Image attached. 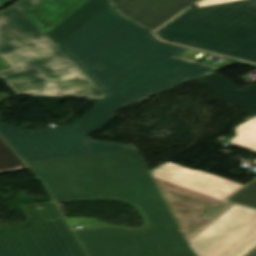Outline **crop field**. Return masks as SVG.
Listing matches in <instances>:
<instances>
[{
	"mask_svg": "<svg viewBox=\"0 0 256 256\" xmlns=\"http://www.w3.org/2000/svg\"><path fill=\"white\" fill-rule=\"evenodd\" d=\"M127 18L153 31L198 0H111ZM117 9V10H118Z\"/></svg>",
	"mask_w": 256,
	"mask_h": 256,
	"instance_id": "obj_8",
	"label": "crop field"
},
{
	"mask_svg": "<svg viewBox=\"0 0 256 256\" xmlns=\"http://www.w3.org/2000/svg\"><path fill=\"white\" fill-rule=\"evenodd\" d=\"M10 0H0V6L6 4L7 2H9Z\"/></svg>",
	"mask_w": 256,
	"mask_h": 256,
	"instance_id": "obj_19",
	"label": "crop field"
},
{
	"mask_svg": "<svg viewBox=\"0 0 256 256\" xmlns=\"http://www.w3.org/2000/svg\"><path fill=\"white\" fill-rule=\"evenodd\" d=\"M107 95L72 125L20 130L0 121V135L24 161L135 149L130 145L88 140V135L112 120L118 109L136 103L115 89Z\"/></svg>",
	"mask_w": 256,
	"mask_h": 256,
	"instance_id": "obj_6",
	"label": "crop field"
},
{
	"mask_svg": "<svg viewBox=\"0 0 256 256\" xmlns=\"http://www.w3.org/2000/svg\"><path fill=\"white\" fill-rule=\"evenodd\" d=\"M229 1H235V0H203L202 2L196 4V6L199 7V6H205V5L217 4V3H223V2H229Z\"/></svg>",
	"mask_w": 256,
	"mask_h": 256,
	"instance_id": "obj_15",
	"label": "crop field"
},
{
	"mask_svg": "<svg viewBox=\"0 0 256 256\" xmlns=\"http://www.w3.org/2000/svg\"><path fill=\"white\" fill-rule=\"evenodd\" d=\"M12 67L0 57V71L11 69Z\"/></svg>",
	"mask_w": 256,
	"mask_h": 256,
	"instance_id": "obj_17",
	"label": "crop field"
},
{
	"mask_svg": "<svg viewBox=\"0 0 256 256\" xmlns=\"http://www.w3.org/2000/svg\"><path fill=\"white\" fill-rule=\"evenodd\" d=\"M245 256H256V247Z\"/></svg>",
	"mask_w": 256,
	"mask_h": 256,
	"instance_id": "obj_18",
	"label": "crop field"
},
{
	"mask_svg": "<svg viewBox=\"0 0 256 256\" xmlns=\"http://www.w3.org/2000/svg\"><path fill=\"white\" fill-rule=\"evenodd\" d=\"M242 89L256 98V88L254 86L250 85Z\"/></svg>",
	"mask_w": 256,
	"mask_h": 256,
	"instance_id": "obj_16",
	"label": "crop field"
},
{
	"mask_svg": "<svg viewBox=\"0 0 256 256\" xmlns=\"http://www.w3.org/2000/svg\"><path fill=\"white\" fill-rule=\"evenodd\" d=\"M27 168L0 138V173Z\"/></svg>",
	"mask_w": 256,
	"mask_h": 256,
	"instance_id": "obj_13",
	"label": "crop field"
},
{
	"mask_svg": "<svg viewBox=\"0 0 256 256\" xmlns=\"http://www.w3.org/2000/svg\"><path fill=\"white\" fill-rule=\"evenodd\" d=\"M57 202L110 199L134 205L141 228L66 218L89 256H196L137 150L26 162Z\"/></svg>",
	"mask_w": 256,
	"mask_h": 256,
	"instance_id": "obj_1",
	"label": "crop field"
},
{
	"mask_svg": "<svg viewBox=\"0 0 256 256\" xmlns=\"http://www.w3.org/2000/svg\"><path fill=\"white\" fill-rule=\"evenodd\" d=\"M228 200L256 207V179L231 196Z\"/></svg>",
	"mask_w": 256,
	"mask_h": 256,
	"instance_id": "obj_14",
	"label": "crop field"
},
{
	"mask_svg": "<svg viewBox=\"0 0 256 256\" xmlns=\"http://www.w3.org/2000/svg\"><path fill=\"white\" fill-rule=\"evenodd\" d=\"M235 131L229 143L256 151V117L235 127Z\"/></svg>",
	"mask_w": 256,
	"mask_h": 256,
	"instance_id": "obj_12",
	"label": "crop field"
},
{
	"mask_svg": "<svg viewBox=\"0 0 256 256\" xmlns=\"http://www.w3.org/2000/svg\"><path fill=\"white\" fill-rule=\"evenodd\" d=\"M21 208L25 222L0 230V256H86L53 201Z\"/></svg>",
	"mask_w": 256,
	"mask_h": 256,
	"instance_id": "obj_7",
	"label": "crop field"
},
{
	"mask_svg": "<svg viewBox=\"0 0 256 256\" xmlns=\"http://www.w3.org/2000/svg\"><path fill=\"white\" fill-rule=\"evenodd\" d=\"M256 162V161H255Z\"/></svg>",
	"mask_w": 256,
	"mask_h": 256,
	"instance_id": "obj_22",
	"label": "crop field"
},
{
	"mask_svg": "<svg viewBox=\"0 0 256 256\" xmlns=\"http://www.w3.org/2000/svg\"><path fill=\"white\" fill-rule=\"evenodd\" d=\"M155 33L164 40L256 62V0L190 9Z\"/></svg>",
	"mask_w": 256,
	"mask_h": 256,
	"instance_id": "obj_5",
	"label": "crop field"
},
{
	"mask_svg": "<svg viewBox=\"0 0 256 256\" xmlns=\"http://www.w3.org/2000/svg\"><path fill=\"white\" fill-rule=\"evenodd\" d=\"M86 0H44L24 12L45 34Z\"/></svg>",
	"mask_w": 256,
	"mask_h": 256,
	"instance_id": "obj_9",
	"label": "crop field"
},
{
	"mask_svg": "<svg viewBox=\"0 0 256 256\" xmlns=\"http://www.w3.org/2000/svg\"><path fill=\"white\" fill-rule=\"evenodd\" d=\"M108 3V0H88L46 35L58 46L82 27Z\"/></svg>",
	"mask_w": 256,
	"mask_h": 256,
	"instance_id": "obj_10",
	"label": "crop field"
},
{
	"mask_svg": "<svg viewBox=\"0 0 256 256\" xmlns=\"http://www.w3.org/2000/svg\"><path fill=\"white\" fill-rule=\"evenodd\" d=\"M196 80L251 116H256V99L218 76L215 72ZM253 85L256 87V84Z\"/></svg>",
	"mask_w": 256,
	"mask_h": 256,
	"instance_id": "obj_11",
	"label": "crop field"
},
{
	"mask_svg": "<svg viewBox=\"0 0 256 256\" xmlns=\"http://www.w3.org/2000/svg\"><path fill=\"white\" fill-rule=\"evenodd\" d=\"M1 79V78H0Z\"/></svg>",
	"mask_w": 256,
	"mask_h": 256,
	"instance_id": "obj_21",
	"label": "crop field"
},
{
	"mask_svg": "<svg viewBox=\"0 0 256 256\" xmlns=\"http://www.w3.org/2000/svg\"><path fill=\"white\" fill-rule=\"evenodd\" d=\"M150 173L197 256H244L256 246V208L225 200L243 185L169 162Z\"/></svg>",
	"mask_w": 256,
	"mask_h": 256,
	"instance_id": "obj_3",
	"label": "crop field"
},
{
	"mask_svg": "<svg viewBox=\"0 0 256 256\" xmlns=\"http://www.w3.org/2000/svg\"><path fill=\"white\" fill-rule=\"evenodd\" d=\"M8 96H9V95L6 94L5 92L0 93V98H2V97H8Z\"/></svg>",
	"mask_w": 256,
	"mask_h": 256,
	"instance_id": "obj_20",
	"label": "crop field"
},
{
	"mask_svg": "<svg viewBox=\"0 0 256 256\" xmlns=\"http://www.w3.org/2000/svg\"><path fill=\"white\" fill-rule=\"evenodd\" d=\"M114 8L58 46L105 94L115 88L139 102L220 69L177 58L187 48L158 41Z\"/></svg>",
	"mask_w": 256,
	"mask_h": 256,
	"instance_id": "obj_2",
	"label": "crop field"
},
{
	"mask_svg": "<svg viewBox=\"0 0 256 256\" xmlns=\"http://www.w3.org/2000/svg\"><path fill=\"white\" fill-rule=\"evenodd\" d=\"M42 0H16L0 11V56L14 69L0 77L16 95L102 99L105 95L24 11Z\"/></svg>",
	"mask_w": 256,
	"mask_h": 256,
	"instance_id": "obj_4",
	"label": "crop field"
}]
</instances>
